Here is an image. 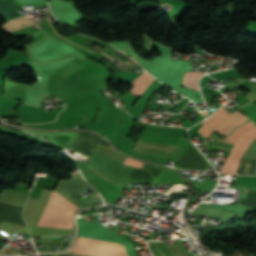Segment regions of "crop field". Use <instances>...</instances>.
<instances>
[{"mask_svg":"<svg viewBox=\"0 0 256 256\" xmlns=\"http://www.w3.org/2000/svg\"><path fill=\"white\" fill-rule=\"evenodd\" d=\"M231 115L229 112H227L223 107H221L219 110H217L210 118H208L206 121L213 129L216 125H218L224 118ZM247 119L245 115H243L241 112H236L232 116L226 118L223 120L218 126L215 127L214 131L221 132L223 134H227L238 122ZM249 120V119H247ZM245 120V121H247ZM242 121L238 123L228 134L227 136L241 123L245 122Z\"/></svg>","mask_w":256,"mask_h":256,"instance_id":"3","label":"crop field"},{"mask_svg":"<svg viewBox=\"0 0 256 256\" xmlns=\"http://www.w3.org/2000/svg\"><path fill=\"white\" fill-rule=\"evenodd\" d=\"M68 253H71V252H68ZM73 254H76V253H73Z\"/></svg>","mask_w":256,"mask_h":256,"instance_id":"10","label":"crop field"},{"mask_svg":"<svg viewBox=\"0 0 256 256\" xmlns=\"http://www.w3.org/2000/svg\"><path fill=\"white\" fill-rule=\"evenodd\" d=\"M201 134H203L207 139L209 137V135L211 134L212 130L209 127V125L205 123L202 125V127L198 130Z\"/></svg>","mask_w":256,"mask_h":256,"instance_id":"7","label":"crop field"},{"mask_svg":"<svg viewBox=\"0 0 256 256\" xmlns=\"http://www.w3.org/2000/svg\"><path fill=\"white\" fill-rule=\"evenodd\" d=\"M33 25L30 21L29 16L26 14L14 18L12 20L7 21L6 23L2 24L4 30L9 33L27 26Z\"/></svg>","mask_w":256,"mask_h":256,"instance_id":"4","label":"crop field"},{"mask_svg":"<svg viewBox=\"0 0 256 256\" xmlns=\"http://www.w3.org/2000/svg\"><path fill=\"white\" fill-rule=\"evenodd\" d=\"M78 209L80 208L53 192L38 225L72 229L73 214Z\"/></svg>","mask_w":256,"mask_h":256,"instance_id":"1","label":"crop field"},{"mask_svg":"<svg viewBox=\"0 0 256 256\" xmlns=\"http://www.w3.org/2000/svg\"><path fill=\"white\" fill-rule=\"evenodd\" d=\"M155 79L152 78L147 73H143L138 78H136L132 83H134V87L131 92L135 94V96L142 95L147 86L152 83ZM149 87V86H148Z\"/></svg>","mask_w":256,"mask_h":256,"instance_id":"5","label":"crop field"},{"mask_svg":"<svg viewBox=\"0 0 256 256\" xmlns=\"http://www.w3.org/2000/svg\"><path fill=\"white\" fill-rule=\"evenodd\" d=\"M202 75L204 74L200 72H186L184 76L183 84L190 88H195L196 90L199 91L197 82Z\"/></svg>","mask_w":256,"mask_h":256,"instance_id":"6","label":"crop field"},{"mask_svg":"<svg viewBox=\"0 0 256 256\" xmlns=\"http://www.w3.org/2000/svg\"><path fill=\"white\" fill-rule=\"evenodd\" d=\"M123 164L132 165V166H136V167L142 168L145 163H142V162H139V161H135V160H132V159L127 157V159L125 160V162Z\"/></svg>","mask_w":256,"mask_h":256,"instance_id":"8","label":"crop field"},{"mask_svg":"<svg viewBox=\"0 0 256 256\" xmlns=\"http://www.w3.org/2000/svg\"><path fill=\"white\" fill-rule=\"evenodd\" d=\"M24 105H26V104H24ZM28 106H31V105H28ZM32 107H36V108H38L37 106H32Z\"/></svg>","mask_w":256,"mask_h":256,"instance_id":"9","label":"crop field"},{"mask_svg":"<svg viewBox=\"0 0 256 256\" xmlns=\"http://www.w3.org/2000/svg\"><path fill=\"white\" fill-rule=\"evenodd\" d=\"M78 240L76 246L78 245ZM74 252L96 256H128L126 245L88 238H80L79 245Z\"/></svg>","mask_w":256,"mask_h":256,"instance_id":"2","label":"crop field"}]
</instances>
